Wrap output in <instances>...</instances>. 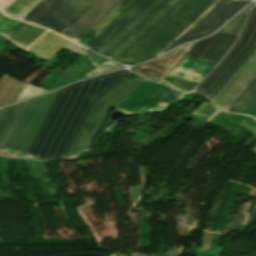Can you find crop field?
Listing matches in <instances>:
<instances>
[{
	"mask_svg": "<svg viewBox=\"0 0 256 256\" xmlns=\"http://www.w3.org/2000/svg\"><path fill=\"white\" fill-rule=\"evenodd\" d=\"M256 76V50L212 100L216 106L227 111Z\"/></svg>",
	"mask_w": 256,
	"mask_h": 256,
	"instance_id": "obj_10",
	"label": "crop field"
},
{
	"mask_svg": "<svg viewBox=\"0 0 256 256\" xmlns=\"http://www.w3.org/2000/svg\"><path fill=\"white\" fill-rule=\"evenodd\" d=\"M155 0H139L88 47L98 52Z\"/></svg>",
	"mask_w": 256,
	"mask_h": 256,
	"instance_id": "obj_14",
	"label": "crop field"
},
{
	"mask_svg": "<svg viewBox=\"0 0 256 256\" xmlns=\"http://www.w3.org/2000/svg\"><path fill=\"white\" fill-rule=\"evenodd\" d=\"M248 2H250V0H220L197 25H195L187 33L166 48V50H169L182 43L210 35Z\"/></svg>",
	"mask_w": 256,
	"mask_h": 256,
	"instance_id": "obj_8",
	"label": "crop field"
},
{
	"mask_svg": "<svg viewBox=\"0 0 256 256\" xmlns=\"http://www.w3.org/2000/svg\"><path fill=\"white\" fill-rule=\"evenodd\" d=\"M26 102V101H25ZM25 102H21L0 110V148L16 121Z\"/></svg>",
	"mask_w": 256,
	"mask_h": 256,
	"instance_id": "obj_18",
	"label": "crop field"
},
{
	"mask_svg": "<svg viewBox=\"0 0 256 256\" xmlns=\"http://www.w3.org/2000/svg\"><path fill=\"white\" fill-rule=\"evenodd\" d=\"M247 9H248V7L240 15H238L236 18H234L230 23H228L220 31L236 35L237 28H238V26H239V24H240V22H241V20H242V18H243Z\"/></svg>",
	"mask_w": 256,
	"mask_h": 256,
	"instance_id": "obj_20",
	"label": "crop field"
},
{
	"mask_svg": "<svg viewBox=\"0 0 256 256\" xmlns=\"http://www.w3.org/2000/svg\"><path fill=\"white\" fill-rule=\"evenodd\" d=\"M144 81L145 80H143L141 77L131 72L99 101H97L84 122L81 130L79 131L76 139L74 140L71 148L69 149L66 157H74L90 147L96 132L104 122L110 108L117 102L121 101Z\"/></svg>",
	"mask_w": 256,
	"mask_h": 256,
	"instance_id": "obj_5",
	"label": "crop field"
},
{
	"mask_svg": "<svg viewBox=\"0 0 256 256\" xmlns=\"http://www.w3.org/2000/svg\"><path fill=\"white\" fill-rule=\"evenodd\" d=\"M171 91L164 85L146 81L116 108L129 114L161 111L169 104L158 102Z\"/></svg>",
	"mask_w": 256,
	"mask_h": 256,
	"instance_id": "obj_9",
	"label": "crop field"
},
{
	"mask_svg": "<svg viewBox=\"0 0 256 256\" xmlns=\"http://www.w3.org/2000/svg\"><path fill=\"white\" fill-rule=\"evenodd\" d=\"M255 49L256 7L252 9L236 44L197 91L212 100Z\"/></svg>",
	"mask_w": 256,
	"mask_h": 256,
	"instance_id": "obj_4",
	"label": "crop field"
},
{
	"mask_svg": "<svg viewBox=\"0 0 256 256\" xmlns=\"http://www.w3.org/2000/svg\"><path fill=\"white\" fill-rule=\"evenodd\" d=\"M237 36L218 32L197 42L186 58L216 65ZM184 58L168 75L175 80L200 82L214 65Z\"/></svg>",
	"mask_w": 256,
	"mask_h": 256,
	"instance_id": "obj_3",
	"label": "crop field"
},
{
	"mask_svg": "<svg viewBox=\"0 0 256 256\" xmlns=\"http://www.w3.org/2000/svg\"><path fill=\"white\" fill-rule=\"evenodd\" d=\"M252 116L256 117V111L254 112V114Z\"/></svg>",
	"mask_w": 256,
	"mask_h": 256,
	"instance_id": "obj_24",
	"label": "crop field"
},
{
	"mask_svg": "<svg viewBox=\"0 0 256 256\" xmlns=\"http://www.w3.org/2000/svg\"><path fill=\"white\" fill-rule=\"evenodd\" d=\"M57 92L27 100L2 148L3 150L24 155ZM3 150H0L1 155L23 157Z\"/></svg>",
	"mask_w": 256,
	"mask_h": 256,
	"instance_id": "obj_6",
	"label": "crop field"
},
{
	"mask_svg": "<svg viewBox=\"0 0 256 256\" xmlns=\"http://www.w3.org/2000/svg\"><path fill=\"white\" fill-rule=\"evenodd\" d=\"M118 68H122V66L108 61V62L102 64L101 66H99L98 68H96L95 70L93 69L94 71H92L91 73H89L86 76L90 77V76H93L96 74L105 73V72H108V71H111L114 69H118Z\"/></svg>",
	"mask_w": 256,
	"mask_h": 256,
	"instance_id": "obj_21",
	"label": "crop field"
},
{
	"mask_svg": "<svg viewBox=\"0 0 256 256\" xmlns=\"http://www.w3.org/2000/svg\"><path fill=\"white\" fill-rule=\"evenodd\" d=\"M138 0H123L114 10H112L102 21H100L86 36L96 39L104 32L113 22H115L124 12H126ZM93 40L83 37L78 43L88 46Z\"/></svg>",
	"mask_w": 256,
	"mask_h": 256,
	"instance_id": "obj_15",
	"label": "crop field"
},
{
	"mask_svg": "<svg viewBox=\"0 0 256 256\" xmlns=\"http://www.w3.org/2000/svg\"><path fill=\"white\" fill-rule=\"evenodd\" d=\"M16 80V79H15ZM5 75L0 80V106L16 101L25 83L15 81Z\"/></svg>",
	"mask_w": 256,
	"mask_h": 256,
	"instance_id": "obj_19",
	"label": "crop field"
},
{
	"mask_svg": "<svg viewBox=\"0 0 256 256\" xmlns=\"http://www.w3.org/2000/svg\"><path fill=\"white\" fill-rule=\"evenodd\" d=\"M178 0H156L99 53L113 59Z\"/></svg>",
	"mask_w": 256,
	"mask_h": 256,
	"instance_id": "obj_7",
	"label": "crop field"
},
{
	"mask_svg": "<svg viewBox=\"0 0 256 256\" xmlns=\"http://www.w3.org/2000/svg\"><path fill=\"white\" fill-rule=\"evenodd\" d=\"M16 20H13V19H10L8 17H4L1 13H0V27H3V28H7L9 27L11 24H13ZM18 22L20 21H17L16 23H14L12 26H10L8 29H10L11 27H13L14 25H16ZM6 29V30H8ZM6 30L4 29H0V32L3 33L5 32Z\"/></svg>",
	"mask_w": 256,
	"mask_h": 256,
	"instance_id": "obj_22",
	"label": "crop field"
},
{
	"mask_svg": "<svg viewBox=\"0 0 256 256\" xmlns=\"http://www.w3.org/2000/svg\"><path fill=\"white\" fill-rule=\"evenodd\" d=\"M184 46L175 49L161 57L157 60L151 61L147 64L139 65L134 67V71L140 73L141 75L157 80L164 69L168 66L174 56L183 48Z\"/></svg>",
	"mask_w": 256,
	"mask_h": 256,
	"instance_id": "obj_16",
	"label": "crop field"
},
{
	"mask_svg": "<svg viewBox=\"0 0 256 256\" xmlns=\"http://www.w3.org/2000/svg\"><path fill=\"white\" fill-rule=\"evenodd\" d=\"M255 94H256V78L250 83V85L245 89V91L240 95V97L235 101V103L230 107L228 111L233 113H240ZM255 109H256V95L249 102V104L243 109L241 113L251 115Z\"/></svg>",
	"mask_w": 256,
	"mask_h": 256,
	"instance_id": "obj_17",
	"label": "crop field"
},
{
	"mask_svg": "<svg viewBox=\"0 0 256 256\" xmlns=\"http://www.w3.org/2000/svg\"><path fill=\"white\" fill-rule=\"evenodd\" d=\"M180 95V93L176 92V91H172L171 93H169L163 100H161L160 102H165V103H171L172 101H174L178 96Z\"/></svg>",
	"mask_w": 256,
	"mask_h": 256,
	"instance_id": "obj_23",
	"label": "crop field"
},
{
	"mask_svg": "<svg viewBox=\"0 0 256 256\" xmlns=\"http://www.w3.org/2000/svg\"><path fill=\"white\" fill-rule=\"evenodd\" d=\"M121 1L122 0H98L89 10L65 30L62 35L77 42Z\"/></svg>",
	"mask_w": 256,
	"mask_h": 256,
	"instance_id": "obj_12",
	"label": "crop field"
},
{
	"mask_svg": "<svg viewBox=\"0 0 256 256\" xmlns=\"http://www.w3.org/2000/svg\"><path fill=\"white\" fill-rule=\"evenodd\" d=\"M95 1L96 0H68L44 21L41 26L60 33Z\"/></svg>",
	"mask_w": 256,
	"mask_h": 256,
	"instance_id": "obj_13",
	"label": "crop field"
},
{
	"mask_svg": "<svg viewBox=\"0 0 256 256\" xmlns=\"http://www.w3.org/2000/svg\"><path fill=\"white\" fill-rule=\"evenodd\" d=\"M129 72L121 70L62 88L25 158L64 157L92 103Z\"/></svg>",
	"mask_w": 256,
	"mask_h": 256,
	"instance_id": "obj_1",
	"label": "crop field"
},
{
	"mask_svg": "<svg viewBox=\"0 0 256 256\" xmlns=\"http://www.w3.org/2000/svg\"><path fill=\"white\" fill-rule=\"evenodd\" d=\"M217 0H180L115 61L132 65L160 53Z\"/></svg>",
	"mask_w": 256,
	"mask_h": 256,
	"instance_id": "obj_2",
	"label": "crop field"
},
{
	"mask_svg": "<svg viewBox=\"0 0 256 256\" xmlns=\"http://www.w3.org/2000/svg\"><path fill=\"white\" fill-rule=\"evenodd\" d=\"M41 0H14L2 12L21 19ZM66 0H42L38 3L22 20H26L40 25L55 10H57Z\"/></svg>",
	"mask_w": 256,
	"mask_h": 256,
	"instance_id": "obj_11",
	"label": "crop field"
}]
</instances>
